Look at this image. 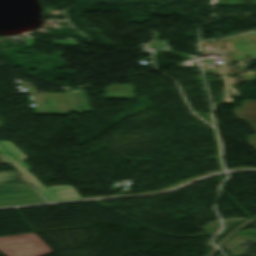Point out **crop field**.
I'll list each match as a JSON object with an SVG mask.
<instances>
[{"instance_id": "2", "label": "crop field", "mask_w": 256, "mask_h": 256, "mask_svg": "<svg viewBox=\"0 0 256 256\" xmlns=\"http://www.w3.org/2000/svg\"><path fill=\"white\" fill-rule=\"evenodd\" d=\"M0 251L6 256H42L51 253L34 233L0 238Z\"/></svg>"}, {"instance_id": "3", "label": "crop field", "mask_w": 256, "mask_h": 256, "mask_svg": "<svg viewBox=\"0 0 256 256\" xmlns=\"http://www.w3.org/2000/svg\"><path fill=\"white\" fill-rule=\"evenodd\" d=\"M0 207L45 203L42 197L37 194L28 183L24 184H0Z\"/></svg>"}, {"instance_id": "1", "label": "crop field", "mask_w": 256, "mask_h": 256, "mask_svg": "<svg viewBox=\"0 0 256 256\" xmlns=\"http://www.w3.org/2000/svg\"><path fill=\"white\" fill-rule=\"evenodd\" d=\"M0 157L6 163L13 165L49 202L81 199L72 187L58 186L46 188L28 171L31 168L23 162L28 158L11 143L0 141ZM52 190L56 191L53 193Z\"/></svg>"}, {"instance_id": "4", "label": "crop field", "mask_w": 256, "mask_h": 256, "mask_svg": "<svg viewBox=\"0 0 256 256\" xmlns=\"http://www.w3.org/2000/svg\"><path fill=\"white\" fill-rule=\"evenodd\" d=\"M103 93L105 99H132L130 85H111Z\"/></svg>"}, {"instance_id": "6", "label": "crop field", "mask_w": 256, "mask_h": 256, "mask_svg": "<svg viewBox=\"0 0 256 256\" xmlns=\"http://www.w3.org/2000/svg\"><path fill=\"white\" fill-rule=\"evenodd\" d=\"M42 93H32V102H41Z\"/></svg>"}, {"instance_id": "5", "label": "crop field", "mask_w": 256, "mask_h": 256, "mask_svg": "<svg viewBox=\"0 0 256 256\" xmlns=\"http://www.w3.org/2000/svg\"><path fill=\"white\" fill-rule=\"evenodd\" d=\"M20 176L15 171L0 172V183L17 181Z\"/></svg>"}]
</instances>
